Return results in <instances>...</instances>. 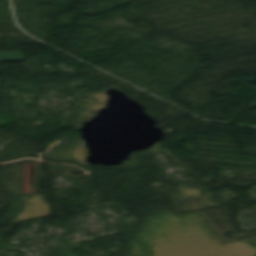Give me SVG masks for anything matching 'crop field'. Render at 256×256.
I'll use <instances>...</instances> for the list:
<instances>
[{
	"mask_svg": "<svg viewBox=\"0 0 256 256\" xmlns=\"http://www.w3.org/2000/svg\"><path fill=\"white\" fill-rule=\"evenodd\" d=\"M24 61L22 52H2L0 62Z\"/></svg>",
	"mask_w": 256,
	"mask_h": 256,
	"instance_id": "1",
	"label": "crop field"
}]
</instances>
